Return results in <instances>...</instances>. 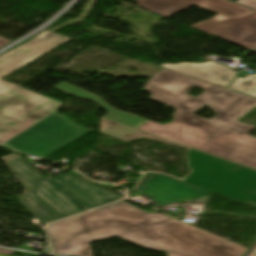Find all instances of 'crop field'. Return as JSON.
Here are the masks:
<instances>
[{"instance_id":"8a807250","label":"crop field","mask_w":256,"mask_h":256,"mask_svg":"<svg viewBox=\"0 0 256 256\" xmlns=\"http://www.w3.org/2000/svg\"><path fill=\"white\" fill-rule=\"evenodd\" d=\"M207 90L197 98L185 94L192 87ZM54 88L70 95L90 99L109 113L103 118L129 125L233 162L256 169V137L248 134L256 126L235 120L256 104V99L163 69L150 78L144 91L150 99L178 108L173 121L161 125L117 110L97 96L66 82ZM217 114L210 121L192 115L205 105Z\"/></svg>"},{"instance_id":"ac0d7876","label":"crop field","mask_w":256,"mask_h":256,"mask_svg":"<svg viewBox=\"0 0 256 256\" xmlns=\"http://www.w3.org/2000/svg\"><path fill=\"white\" fill-rule=\"evenodd\" d=\"M56 254L91 256L89 243L117 236L168 256H241L246 248L125 202L90 211L47 227Z\"/></svg>"},{"instance_id":"34b2d1b8","label":"crop field","mask_w":256,"mask_h":256,"mask_svg":"<svg viewBox=\"0 0 256 256\" xmlns=\"http://www.w3.org/2000/svg\"><path fill=\"white\" fill-rule=\"evenodd\" d=\"M68 40L45 30L0 55V144L45 158L90 131L55 112L59 102L1 79Z\"/></svg>"},{"instance_id":"412701ff","label":"crop field","mask_w":256,"mask_h":256,"mask_svg":"<svg viewBox=\"0 0 256 256\" xmlns=\"http://www.w3.org/2000/svg\"><path fill=\"white\" fill-rule=\"evenodd\" d=\"M6 164L25 188L22 202L44 223L123 198L66 173L47 179L20 158Z\"/></svg>"},{"instance_id":"f4fd0767","label":"crop field","mask_w":256,"mask_h":256,"mask_svg":"<svg viewBox=\"0 0 256 256\" xmlns=\"http://www.w3.org/2000/svg\"><path fill=\"white\" fill-rule=\"evenodd\" d=\"M100 132L126 142L145 137L186 148L187 167L191 172L180 180L256 208L254 169L102 118Z\"/></svg>"},{"instance_id":"dd49c442","label":"crop field","mask_w":256,"mask_h":256,"mask_svg":"<svg viewBox=\"0 0 256 256\" xmlns=\"http://www.w3.org/2000/svg\"><path fill=\"white\" fill-rule=\"evenodd\" d=\"M133 195L166 211L172 206L206 205L212 193L169 176L147 173Z\"/></svg>"},{"instance_id":"e52e79f7","label":"crop field","mask_w":256,"mask_h":256,"mask_svg":"<svg viewBox=\"0 0 256 256\" xmlns=\"http://www.w3.org/2000/svg\"><path fill=\"white\" fill-rule=\"evenodd\" d=\"M191 27L246 50L256 47V12L254 11L223 21L212 18Z\"/></svg>"},{"instance_id":"d8731c3e","label":"crop field","mask_w":256,"mask_h":256,"mask_svg":"<svg viewBox=\"0 0 256 256\" xmlns=\"http://www.w3.org/2000/svg\"><path fill=\"white\" fill-rule=\"evenodd\" d=\"M138 5L158 15L168 17L191 5L228 17L251 11L225 0H136Z\"/></svg>"},{"instance_id":"5a996713","label":"crop field","mask_w":256,"mask_h":256,"mask_svg":"<svg viewBox=\"0 0 256 256\" xmlns=\"http://www.w3.org/2000/svg\"><path fill=\"white\" fill-rule=\"evenodd\" d=\"M160 66L224 87L237 74V72L212 61L205 63L160 64Z\"/></svg>"},{"instance_id":"3316defc","label":"crop field","mask_w":256,"mask_h":256,"mask_svg":"<svg viewBox=\"0 0 256 256\" xmlns=\"http://www.w3.org/2000/svg\"><path fill=\"white\" fill-rule=\"evenodd\" d=\"M230 89L256 96V75L248 74L245 79L237 77Z\"/></svg>"},{"instance_id":"28ad6ade","label":"crop field","mask_w":256,"mask_h":256,"mask_svg":"<svg viewBox=\"0 0 256 256\" xmlns=\"http://www.w3.org/2000/svg\"><path fill=\"white\" fill-rule=\"evenodd\" d=\"M237 3L256 9V0H239Z\"/></svg>"},{"instance_id":"d1516ede","label":"crop field","mask_w":256,"mask_h":256,"mask_svg":"<svg viewBox=\"0 0 256 256\" xmlns=\"http://www.w3.org/2000/svg\"><path fill=\"white\" fill-rule=\"evenodd\" d=\"M18 156L13 154V155H10V156H7V157H3L4 161L6 160H10V159H13V158H17Z\"/></svg>"},{"instance_id":"22f410ed","label":"crop field","mask_w":256,"mask_h":256,"mask_svg":"<svg viewBox=\"0 0 256 256\" xmlns=\"http://www.w3.org/2000/svg\"><path fill=\"white\" fill-rule=\"evenodd\" d=\"M7 43H9V41H7V40H5V39L0 37V47L5 45V44H7Z\"/></svg>"},{"instance_id":"cbeb9de0","label":"crop field","mask_w":256,"mask_h":256,"mask_svg":"<svg viewBox=\"0 0 256 256\" xmlns=\"http://www.w3.org/2000/svg\"><path fill=\"white\" fill-rule=\"evenodd\" d=\"M253 51H255V52H256V50H253Z\"/></svg>"},{"instance_id":"5142ce71","label":"crop field","mask_w":256,"mask_h":256,"mask_svg":"<svg viewBox=\"0 0 256 256\" xmlns=\"http://www.w3.org/2000/svg\"><path fill=\"white\" fill-rule=\"evenodd\" d=\"M0 256H3V255H0Z\"/></svg>"},{"instance_id":"d9b57169","label":"crop field","mask_w":256,"mask_h":256,"mask_svg":"<svg viewBox=\"0 0 256 256\" xmlns=\"http://www.w3.org/2000/svg\"><path fill=\"white\" fill-rule=\"evenodd\" d=\"M254 256H256V254Z\"/></svg>"}]
</instances>
